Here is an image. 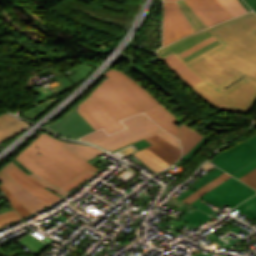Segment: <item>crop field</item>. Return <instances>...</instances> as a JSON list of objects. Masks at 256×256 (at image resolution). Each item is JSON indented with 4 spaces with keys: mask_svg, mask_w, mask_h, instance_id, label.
Segmentation results:
<instances>
[{
    "mask_svg": "<svg viewBox=\"0 0 256 256\" xmlns=\"http://www.w3.org/2000/svg\"><path fill=\"white\" fill-rule=\"evenodd\" d=\"M208 30L220 45L188 62L173 55L204 80L190 84L196 92L227 111L247 113L256 103V82L244 78L226 91L222 88L242 76L256 81V14L247 13Z\"/></svg>",
    "mask_w": 256,
    "mask_h": 256,
    "instance_id": "1",
    "label": "crop field"
},
{
    "mask_svg": "<svg viewBox=\"0 0 256 256\" xmlns=\"http://www.w3.org/2000/svg\"><path fill=\"white\" fill-rule=\"evenodd\" d=\"M102 84L75 109L94 130L103 128L107 134L125 129L119 120L145 112L164 130L178 138L180 120L157 102L152 95L118 70L109 69Z\"/></svg>",
    "mask_w": 256,
    "mask_h": 256,
    "instance_id": "2",
    "label": "crop field"
},
{
    "mask_svg": "<svg viewBox=\"0 0 256 256\" xmlns=\"http://www.w3.org/2000/svg\"><path fill=\"white\" fill-rule=\"evenodd\" d=\"M65 144L43 133L16 159L30 171L58 187L64 186L83 172L95 173L99 170L64 148Z\"/></svg>",
    "mask_w": 256,
    "mask_h": 256,
    "instance_id": "3",
    "label": "crop field"
},
{
    "mask_svg": "<svg viewBox=\"0 0 256 256\" xmlns=\"http://www.w3.org/2000/svg\"><path fill=\"white\" fill-rule=\"evenodd\" d=\"M123 124L127 126V129L114 133L112 135H107L102 129L92 132L84 137L82 140H86L92 143H96L101 147L115 151L123 146H126L135 141L141 140L143 138L159 135L171 144L180 147L179 141L166 133L160 127H158L151 119H149L145 114H139L133 117H129L122 121Z\"/></svg>",
    "mask_w": 256,
    "mask_h": 256,
    "instance_id": "4",
    "label": "crop field"
},
{
    "mask_svg": "<svg viewBox=\"0 0 256 256\" xmlns=\"http://www.w3.org/2000/svg\"><path fill=\"white\" fill-rule=\"evenodd\" d=\"M254 194L255 190L231 177L198 200L204 199L218 207L224 203L233 208Z\"/></svg>",
    "mask_w": 256,
    "mask_h": 256,
    "instance_id": "5",
    "label": "crop field"
},
{
    "mask_svg": "<svg viewBox=\"0 0 256 256\" xmlns=\"http://www.w3.org/2000/svg\"><path fill=\"white\" fill-rule=\"evenodd\" d=\"M191 33L194 30L176 2H164L163 46Z\"/></svg>",
    "mask_w": 256,
    "mask_h": 256,
    "instance_id": "6",
    "label": "crop field"
},
{
    "mask_svg": "<svg viewBox=\"0 0 256 256\" xmlns=\"http://www.w3.org/2000/svg\"><path fill=\"white\" fill-rule=\"evenodd\" d=\"M256 159V149L246 141L217 154L210 162L233 173ZM217 166V167H218ZM220 168V169H221Z\"/></svg>",
    "mask_w": 256,
    "mask_h": 256,
    "instance_id": "7",
    "label": "crop field"
},
{
    "mask_svg": "<svg viewBox=\"0 0 256 256\" xmlns=\"http://www.w3.org/2000/svg\"><path fill=\"white\" fill-rule=\"evenodd\" d=\"M11 161L0 170V181L31 212L38 211L48 205L25 190L8 174L14 167Z\"/></svg>",
    "mask_w": 256,
    "mask_h": 256,
    "instance_id": "8",
    "label": "crop field"
},
{
    "mask_svg": "<svg viewBox=\"0 0 256 256\" xmlns=\"http://www.w3.org/2000/svg\"><path fill=\"white\" fill-rule=\"evenodd\" d=\"M184 2L196 12L208 27L232 18L217 0H184Z\"/></svg>",
    "mask_w": 256,
    "mask_h": 256,
    "instance_id": "9",
    "label": "crop field"
},
{
    "mask_svg": "<svg viewBox=\"0 0 256 256\" xmlns=\"http://www.w3.org/2000/svg\"><path fill=\"white\" fill-rule=\"evenodd\" d=\"M49 127L64 136L76 139L94 131L75 110Z\"/></svg>",
    "mask_w": 256,
    "mask_h": 256,
    "instance_id": "10",
    "label": "crop field"
},
{
    "mask_svg": "<svg viewBox=\"0 0 256 256\" xmlns=\"http://www.w3.org/2000/svg\"><path fill=\"white\" fill-rule=\"evenodd\" d=\"M13 177L19 184H21L25 189L39 197L45 203L50 205L51 203L61 199L57 195L47 191L40 183L33 180L27 174H25L21 169H19L16 165L13 170L9 174ZM35 196V197H36Z\"/></svg>",
    "mask_w": 256,
    "mask_h": 256,
    "instance_id": "11",
    "label": "crop field"
},
{
    "mask_svg": "<svg viewBox=\"0 0 256 256\" xmlns=\"http://www.w3.org/2000/svg\"><path fill=\"white\" fill-rule=\"evenodd\" d=\"M211 35L212 34L207 29H205V30L195 33L187 38L180 39V40L158 50L157 53H158L160 59L171 54V53H174V52L179 54Z\"/></svg>",
    "mask_w": 256,
    "mask_h": 256,
    "instance_id": "12",
    "label": "crop field"
},
{
    "mask_svg": "<svg viewBox=\"0 0 256 256\" xmlns=\"http://www.w3.org/2000/svg\"><path fill=\"white\" fill-rule=\"evenodd\" d=\"M158 138L160 137L157 135L146 138V140L152 144L149 148L170 165L176 162L181 157V150L174 147L164 139Z\"/></svg>",
    "mask_w": 256,
    "mask_h": 256,
    "instance_id": "13",
    "label": "crop field"
},
{
    "mask_svg": "<svg viewBox=\"0 0 256 256\" xmlns=\"http://www.w3.org/2000/svg\"><path fill=\"white\" fill-rule=\"evenodd\" d=\"M26 124L8 114L0 116V141L26 129Z\"/></svg>",
    "mask_w": 256,
    "mask_h": 256,
    "instance_id": "14",
    "label": "crop field"
},
{
    "mask_svg": "<svg viewBox=\"0 0 256 256\" xmlns=\"http://www.w3.org/2000/svg\"><path fill=\"white\" fill-rule=\"evenodd\" d=\"M134 155L137 156L141 161H143L150 169H152L156 173L170 166L148 148L138 151L134 153Z\"/></svg>",
    "mask_w": 256,
    "mask_h": 256,
    "instance_id": "15",
    "label": "crop field"
},
{
    "mask_svg": "<svg viewBox=\"0 0 256 256\" xmlns=\"http://www.w3.org/2000/svg\"><path fill=\"white\" fill-rule=\"evenodd\" d=\"M202 137L204 136L196 133L184 124H181L180 141L183 156L188 153Z\"/></svg>",
    "mask_w": 256,
    "mask_h": 256,
    "instance_id": "16",
    "label": "crop field"
},
{
    "mask_svg": "<svg viewBox=\"0 0 256 256\" xmlns=\"http://www.w3.org/2000/svg\"><path fill=\"white\" fill-rule=\"evenodd\" d=\"M175 57L171 55L167 58H164V60L192 85L202 81L201 78H199L195 73H193L189 68H187L183 63H181Z\"/></svg>",
    "mask_w": 256,
    "mask_h": 256,
    "instance_id": "17",
    "label": "crop field"
},
{
    "mask_svg": "<svg viewBox=\"0 0 256 256\" xmlns=\"http://www.w3.org/2000/svg\"><path fill=\"white\" fill-rule=\"evenodd\" d=\"M177 4L181 8L182 12L188 19L195 32L207 28L205 23L194 13V11L187 4H185L182 0L177 1Z\"/></svg>",
    "mask_w": 256,
    "mask_h": 256,
    "instance_id": "18",
    "label": "crop field"
},
{
    "mask_svg": "<svg viewBox=\"0 0 256 256\" xmlns=\"http://www.w3.org/2000/svg\"><path fill=\"white\" fill-rule=\"evenodd\" d=\"M228 178H230V176L227 175L226 173L221 175L220 177L216 178L212 182H210L207 185L203 186L197 192H195V193L193 192L194 194L190 195L189 197H187L183 201H185V202H187L189 204L192 203L194 200H196L197 198L203 196L208 191H210L213 187H215V186L219 185L220 183L226 181Z\"/></svg>",
    "mask_w": 256,
    "mask_h": 256,
    "instance_id": "19",
    "label": "crop field"
},
{
    "mask_svg": "<svg viewBox=\"0 0 256 256\" xmlns=\"http://www.w3.org/2000/svg\"><path fill=\"white\" fill-rule=\"evenodd\" d=\"M224 172L221 171L220 169H215L213 171H211L209 174H207L205 177L197 180L196 185L192 188H190L188 191H186L184 194H182L180 197L178 196L176 199L178 200H182L184 198H186L187 196H189L190 194H192L193 192H195L196 190H198L200 187H202L203 185L207 184L208 182L212 181L213 179H215L216 177L220 176L221 174H223Z\"/></svg>",
    "mask_w": 256,
    "mask_h": 256,
    "instance_id": "20",
    "label": "crop field"
},
{
    "mask_svg": "<svg viewBox=\"0 0 256 256\" xmlns=\"http://www.w3.org/2000/svg\"><path fill=\"white\" fill-rule=\"evenodd\" d=\"M65 147H67L70 151L74 152L75 154L79 155L80 157L90 160L98 154L103 153L100 150H97L93 147H85V146H78V145H72V144H66Z\"/></svg>",
    "mask_w": 256,
    "mask_h": 256,
    "instance_id": "21",
    "label": "crop field"
},
{
    "mask_svg": "<svg viewBox=\"0 0 256 256\" xmlns=\"http://www.w3.org/2000/svg\"><path fill=\"white\" fill-rule=\"evenodd\" d=\"M222 6L233 16L236 17L245 12V8L240 4L238 0H218Z\"/></svg>",
    "mask_w": 256,
    "mask_h": 256,
    "instance_id": "22",
    "label": "crop field"
},
{
    "mask_svg": "<svg viewBox=\"0 0 256 256\" xmlns=\"http://www.w3.org/2000/svg\"><path fill=\"white\" fill-rule=\"evenodd\" d=\"M235 209L245 213L249 217L256 220V195L248 199L247 201H245Z\"/></svg>",
    "mask_w": 256,
    "mask_h": 256,
    "instance_id": "23",
    "label": "crop field"
},
{
    "mask_svg": "<svg viewBox=\"0 0 256 256\" xmlns=\"http://www.w3.org/2000/svg\"><path fill=\"white\" fill-rule=\"evenodd\" d=\"M117 60H121L123 62H126L128 64H130V67L133 68L135 71H137L139 74H141L143 77H145L147 80H149L151 83H153L154 85H156L158 88H160L162 91H164V88L159 84L157 83L155 80H153L150 76H148L145 72H143L141 69L137 68L135 65H134V62L136 60L132 59L131 57L129 56H126V55H122L120 54L117 58Z\"/></svg>",
    "mask_w": 256,
    "mask_h": 256,
    "instance_id": "24",
    "label": "crop field"
},
{
    "mask_svg": "<svg viewBox=\"0 0 256 256\" xmlns=\"http://www.w3.org/2000/svg\"><path fill=\"white\" fill-rule=\"evenodd\" d=\"M0 188L5 192L6 196H8L11 206H13L22 217L30 214V212L3 186V184L0 185Z\"/></svg>",
    "mask_w": 256,
    "mask_h": 256,
    "instance_id": "25",
    "label": "crop field"
},
{
    "mask_svg": "<svg viewBox=\"0 0 256 256\" xmlns=\"http://www.w3.org/2000/svg\"><path fill=\"white\" fill-rule=\"evenodd\" d=\"M210 218L211 217H209L207 214L197 210L182 220L188 222L189 224L195 223L199 226Z\"/></svg>",
    "mask_w": 256,
    "mask_h": 256,
    "instance_id": "26",
    "label": "crop field"
},
{
    "mask_svg": "<svg viewBox=\"0 0 256 256\" xmlns=\"http://www.w3.org/2000/svg\"><path fill=\"white\" fill-rule=\"evenodd\" d=\"M246 141L249 142L251 145H253L256 148V135H254L253 137L249 138ZM255 168H256V161L252 162L251 164L247 165V167H244L243 169H241L231 175L239 179Z\"/></svg>",
    "mask_w": 256,
    "mask_h": 256,
    "instance_id": "27",
    "label": "crop field"
},
{
    "mask_svg": "<svg viewBox=\"0 0 256 256\" xmlns=\"http://www.w3.org/2000/svg\"><path fill=\"white\" fill-rule=\"evenodd\" d=\"M19 219H21L20 216L14 210L2 213L0 214V227Z\"/></svg>",
    "mask_w": 256,
    "mask_h": 256,
    "instance_id": "28",
    "label": "crop field"
},
{
    "mask_svg": "<svg viewBox=\"0 0 256 256\" xmlns=\"http://www.w3.org/2000/svg\"><path fill=\"white\" fill-rule=\"evenodd\" d=\"M214 40H216V39L212 36V37H210V38H208V39L198 43L197 45L193 46L192 48L188 49L187 51H185V52H183V53H181L179 55L183 58V57L187 56L188 54L196 51L197 49H199V48H201V47H203V46L213 42Z\"/></svg>",
    "mask_w": 256,
    "mask_h": 256,
    "instance_id": "29",
    "label": "crop field"
},
{
    "mask_svg": "<svg viewBox=\"0 0 256 256\" xmlns=\"http://www.w3.org/2000/svg\"><path fill=\"white\" fill-rule=\"evenodd\" d=\"M94 174L92 173H85L82 174L81 176H79L76 180L72 181L71 183H69L68 185L64 186L62 189L65 190L66 192L68 190H70L71 188H73L74 186H76L77 184L87 180L88 178H90L91 176H93Z\"/></svg>",
    "mask_w": 256,
    "mask_h": 256,
    "instance_id": "30",
    "label": "crop field"
},
{
    "mask_svg": "<svg viewBox=\"0 0 256 256\" xmlns=\"http://www.w3.org/2000/svg\"><path fill=\"white\" fill-rule=\"evenodd\" d=\"M242 182L256 188V169L250 172L249 174L245 175L241 179ZM256 190V189H255Z\"/></svg>",
    "mask_w": 256,
    "mask_h": 256,
    "instance_id": "31",
    "label": "crop field"
},
{
    "mask_svg": "<svg viewBox=\"0 0 256 256\" xmlns=\"http://www.w3.org/2000/svg\"><path fill=\"white\" fill-rule=\"evenodd\" d=\"M208 139H206L205 137L203 139H201L197 144L196 146L188 153L184 156V161H188L190 158L189 156H193L194 154H196L201 148L202 146L205 144V142L207 141Z\"/></svg>",
    "mask_w": 256,
    "mask_h": 256,
    "instance_id": "32",
    "label": "crop field"
},
{
    "mask_svg": "<svg viewBox=\"0 0 256 256\" xmlns=\"http://www.w3.org/2000/svg\"><path fill=\"white\" fill-rule=\"evenodd\" d=\"M218 44H220V43L216 40V41H214L213 43H211V44H209V45H207V46H205V47H203V48L197 50L196 52H194V53L188 55L187 57H185V58H183V59H185V60L187 61V60H189V59H191V58H193V57H195V56H197V55H199V54H201V53L207 51L208 49H210V48H212V47H214V46H216V45H218Z\"/></svg>",
    "mask_w": 256,
    "mask_h": 256,
    "instance_id": "33",
    "label": "crop field"
},
{
    "mask_svg": "<svg viewBox=\"0 0 256 256\" xmlns=\"http://www.w3.org/2000/svg\"><path fill=\"white\" fill-rule=\"evenodd\" d=\"M29 176H31V177H32L33 179H35L36 181H38V182H40V183L46 185L47 187L51 188V189L54 190L55 192H57V193H59V194H61V195H63V196L66 195V192H64V191H62V190H60V189H58V188H56V187H54V186L48 184L47 182L41 180L39 177H37V176L34 175L33 173L30 174Z\"/></svg>",
    "mask_w": 256,
    "mask_h": 256,
    "instance_id": "34",
    "label": "crop field"
},
{
    "mask_svg": "<svg viewBox=\"0 0 256 256\" xmlns=\"http://www.w3.org/2000/svg\"><path fill=\"white\" fill-rule=\"evenodd\" d=\"M190 205H192V206H194V207H196V208H198V209H200V210H202V211H204V212H206V213H211L212 211H213V209H211V208H208V207H206L205 205H203L202 203H200L199 201H194L192 204H190Z\"/></svg>",
    "mask_w": 256,
    "mask_h": 256,
    "instance_id": "35",
    "label": "crop field"
},
{
    "mask_svg": "<svg viewBox=\"0 0 256 256\" xmlns=\"http://www.w3.org/2000/svg\"><path fill=\"white\" fill-rule=\"evenodd\" d=\"M131 145V144H130ZM133 145L137 148V149H139V150H141V149H143V148H146L148 145H150V143L149 142H147L145 139H143V140H141V141H138V142H135V143H133ZM129 146V145H128ZM127 147V146H126ZM124 148V147H123ZM122 149V148H121Z\"/></svg>",
    "mask_w": 256,
    "mask_h": 256,
    "instance_id": "36",
    "label": "crop field"
},
{
    "mask_svg": "<svg viewBox=\"0 0 256 256\" xmlns=\"http://www.w3.org/2000/svg\"><path fill=\"white\" fill-rule=\"evenodd\" d=\"M245 1L253 9V11L256 12V0H245Z\"/></svg>",
    "mask_w": 256,
    "mask_h": 256,
    "instance_id": "37",
    "label": "crop field"
},
{
    "mask_svg": "<svg viewBox=\"0 0 256 256\" xmlns=\"http://www.w3.org/2000/svg\"><path fill=\"white\" fill-rule=\"evenodd\" d=\"M241 3H242V5L247 9V11L249 12V11H251V9L243 2V0H239Z\"/></svg>",
    "mask_w": 256,
    "mask_h": 256,
    "instance_id": "38",
    "label": "crop field"
},
{
    "mask_svg": "<svg viewBox=\"0 0 256 256\" xmlns=\"http://www.w3.org/2000/svg\"><path fill=\"white\" fill-rule=\"evenodd\" d=\"M164 1H169V0H164Z\"/></svg>",
    "mask_w": 256,
    "mask_h": 256,
    "instance_id": "39",
    "label": "crop field"
},
{
    "mask_svg": "<svg viewBox=\"0 0 256 256\" xmlns=\"http://www.w3.org/2000/svg\"><path fill=\"white\" fill-rule=\"evenodd\" d=\"M1 256V255H0Z\"/></svg>",
    "mask_w": 256,
    "mask_h": 256,
    "instance_id": "40",
    "label": "crop field"
}]
</instances>
